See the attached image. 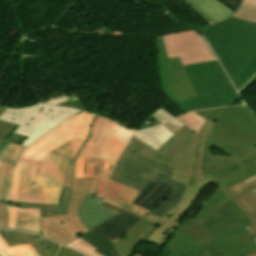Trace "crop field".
<instances>
[{"mask_svg":"<svg viewBox=\"0 0 256 256\" xmlns=\"http://www.w3.org/2000/svg\"><path fill=\"white\" fill-rule=\"evenodd\" d=\"M225 256L216 246H214L210 241L203 244L197 245L192 248L184 249L174 253H170V256Z\"/></svg>","mask_w":256,"mask_h":256,"instance_id":"crop-field-29","label":"crop field"},{"mask_svg":"<svg viewBox=\"0 0 256 256\" xmlns=\"http://www.w3.org/2000/svg\"><path fill=\"white\" fill-rule=\"evenodd\" d=\"M26 137L11 133L6 141L20 144Z\"/></svg>","mask_w":256,"mask_h":256,"instance_id":"crop-field-46","label":"crop field"},{"mask_svg":"<svg viewBox=\"0 0 256 256\" xmlns=\"http://www.w3.org/2000/svg\"><path fill=\"white\" fill-rule=\"evenodd\" d=\"M167 245L168 253L208 241L216 245L226 256H248L256 253L251 238L256 228L232 200L222 204L201 225L190 218L173 232Z\"/></svg>","mask_w":256,"mask_h":256,"instance_id":"crop-field-2","label":"crop field"},{"mask_svg":"<svg viewBox=\"0 0 256 256\" xmlns=\"http://www.w3.org/2000/svg\"><path fill=\"white\" fill-rule=\"evenodd\" d=\"M232 17L243 19L250 22H256V8L242 7Z\"/></svg>","mask_w":256,"mask_h":256,"instance_id":"crop-field-39","label":"crop field"},{"mask_svg":"<svg viewBox=\"0 0 256 256\" xmlns=\"http://www.w3.org/2000/svg\"><path fill=\"white\" fill-rule=\"evenodd\" d=\"M15 164L0 161V201L3 202Z\"/></svg>","mask_w":256,"mask_h":256,"instance_id":"crop-field-33","label":"crop field"},{"mask_svg":"<svg viewBox=\"0 0 256 256\" xmlns=\"http://www.w3.org/2000/svg\"><path fill=\"white\" fill-rule=\"evenodd\" d=\"M81 238L90 243L92 246L96 247L97 249L95 251L102 254L103 256H120L114 246V243L100 237L91 231Z\"/></svg>","mask_w":256,"mask_h":256,"instance_id":"crop-field-28","label":"crop field"},{"mask_svg":"<svg viewBox=\"0 0 256 256\" xmlns=\"http://www.w3.org/2000/svg\"><path fill=\"white\" fill-rule=\"evenodd\" d=\"M173 135L174 134H172L166 127L161 125L142 131H136L134 136L157 150L163 144H165Z\"/></svg>","mask_w":256,"mask_h":256,"instance_id":"crop-field-26","label":"crop field"},{"mask_svg":"<svg viewBox=\"0 0 256 256\" xmlns=\"http://www.w3.org/2000/svg\"><path fill=\"white\" fill-rule=\"evenodd\" d=\"M99 179H73L72 192L95 193Z\"/></svg>","mask_w":256,"mask_h":256,"instance_id":"crop-field-35","label":"crop field"},{"mask_svg":"<svg viewBox=\"0 0 256 256\" xmlns=\"http://www.w3.org/2000/svg\"><path fill=\"white\" fill-rule=\"evenodd\" d=\"M168 57L179 56L183 65L217 60L196 31H184L162 36Z\"/></svg>","mask_w":256,"mask_h":256,"instance_id":"crop-field-12","label":"crop field"},{"mask_svg":"<svg viewBox=\"0 0 256 256\" xmlns=\"http://www.w3.org/2000/svg\"><path fill=\"white\" fill-rule=\"evenodd\" d=\"M158 66L162 89L174 103L195 97V92L178 57L168 59L161 36L156 37Z\"/></svg>","mask_w":256,"mask_h":256,"instance_id":"crop-field-10","label":"crop field"},{"mask_svg":"<svg viewBox=\"0 0 256 256\" xmlns=\"http://www.w3.org/2000/svg\"><path fill=\"white\" fill-rule=\"evenodd\" d=\"M85 195L95 196V194L72 193L67 215L41 218V235L66 245L90 231L78 216V211Z\"/></svg>","mask_w":256,"mask_h":256,"instance_id":"crop-field-9","label":"crop field"},{"mask_svg":"<svg viewBox=\"0 0 256 256\" xmlns=\"http://www.w3.org/2000/svg\"><path fill=\"white\" fill-rule=\"evenodd\" d=\"M164 126H166L170 131H172L174 134L181 128L180 126H178L175 122H173L172 120L166 122L163 124ZM171 132V133H172ZM172 133V134H173Z\"/></svg>","mask_w":256,"mask_h":256,"instance_id":"crop-field-47","label":"crop field"},{"mask_svg":"<svg viewBox=\"0 0 256 256\" xmlns=\"http://www.w3.org/2000/svg\"><path fill=\"white\" fill-rule=\"evenodd\" d=\"M255 162H256V160H255Z\"/></svg>","mask_w":256,"mask_h":256,"instance_id":"crop-field-56","label":"crop field"},{"mask_svg":"<svg viewBox=\"0 0 256 256\" xmlns=\"http://www.w3.org/2000/svg\"><path fill=\"white\" fill-rule=\"evenodd\" d=\"M156 119H158L161 123H164L168 120H170V118L165 115L161 110H157L152 114Z\"/></svg>","mask_w":256,"mask_h":256,"instance_id":"crop-field-45","label":"crop field"},{"mask_svg":"<svg viewBox=\"0 0 256 256\" xmlns=\"http://www.w3.org/2000/svg\"><path fill=\"white\" fill-rule=\"evenodd\" d=\"M0 235L9 246L31 242L41 256H83L38 236L5 230H0Z\"/></svg>","mask_w":256,"mask_h":256,"instance_id":"crop-field-16","label":"crop field"},{"mask_svg":"<svg viewBox=\"0 0 256 256\" xmlns=\"http://www.w3.org/2000/svg\"><path fill=\"white\" fill-rule=\"evenodd\" d=\"M183 67L197 95L176 104L185 112L232 105L239 98L218 61Z\"/></svg>","mask_w":256,"mask_h":256,"instance_id":"crop-field-6","label":"crop field"},{"mask_svg":"<svg viewBox=\"0 0 256 256\" xmlns=\"http://www.w3.org/2000/svg\"><path fill=\"white\" fill-rule=\"evenodd\" d=\"M251 193L253 194V196L255 197V199H256V188L255 189H253V190H251Z\"/></svg>","mask_w":256,"mask_h":256,"instance_id":"crop-field-54","label":"crop field"},{"mask_svg":"<svg viewBox=\"0 0 256 256\" xmlns=\"http://www.w3.org/2000/svg\"><path fill=\"white\" fill-rule=\"evenodd\" d=\"M218 186L221 187V189L223 191H225L230 198L251 218L252 222L255 224L256 226V220L254 219V217L250 214V212L244 207V205L236 198V196L227 188L225 187L221 182H219L218 180L214 181Z\"/></svg>","mask_w":256,"mask_h":256,"instance_id":"crop-field-42","label":"crop field"},{"mask_svg":"<svg viewBox=\"0 0 256 256\" xmlns=\"http://www.w3.org/2000/svg\"><path fill=\"white\" fill-rule=\"evenodd\" d=\"M67 246H70L76 250L82 251L85 254L89 255V256H102L96 252H94L93 250L95 249L94 247H92L90 244H88L87 242H85L83 239L78 238L75 241H73L72 243L68 244ZM81 252V253H82Z\"/></svg>","mask_w":256,"mask_h":256,"instance_id":"crop-field-38","label":"crop field"},{"mask_svg":"<svg viewBox=\"0 0 256 256\" xmlns=\"http://www.w3.org/2000/svg\"><path fill=\"white\" fill-rule=\"evenodd\" d=\"M161 109L165 114H167L171 119L173 118V116L171 114H169L164 108H159Z\"/></svg>","mask_w":256,"mask_h":256,"instance_id":"crop-field-52","label":"crop field"},{"mask_svg":"<svg viewBox=\"0 0 256 256\" xmlns=\"http://www.w3.org/2000/svg\"><path fill=\"white\" fill-rule=\"evenodd\" d=\"M173 121H175L178 125H180L181 127L183 126V124L180 122V121H178L176 118H174V119H172Z\"/></svg>","mask_w":256,"mask_h":256,"instance_id":"crop-field-53","label":"crop field"},{"mask_svg":"<svg viewBox=\"0 0 256 256\" xmlns=\"http://www.w3.org/2000/svg\"><path fill=\"white\" fill-rule=\"evenodd\" d=\"M5 110V107L0 106V115ZM17 127V125L0 121V144L7 138V136Z\"/></svg>","mask_w":256,"mask_h":256,"instance_id":"crop-field-40","label":"crop field"},{"mask_svg":"<svg viewBox=\"0 0 256 256\" xmlns=\"http://www.w3.org/2000/svg\"><path fill=\"white\" fill-rule=\"evenodd\" d=\"M228 200H230L229 196L218 187L194 219L201 224L213 211Z\"/></svg>","mask_w":256,"mask_h":256,"instance_id":"crop-field-27","label":"crop field"},{"mask_svg":"<svg viewBox=\"0 0 256 256\" xmlns=\"http://www.w3.org/2000/svg\"><path fill=\"white\" fill-rule=\"evenodd\" d=\"M212 181L214 180L202 178L190 186L188 197L180 209L171 215L169 219L165 220L160 226H158L146 241L156 243L158 244L157 248H160L165 242L167 236L181 225L176 221L193 204L201 189Z\"/></svg>","mask_w":256,"mask_h":256,"instance_id":"crop-field-17","label":"crop field"},{"mask_svg":"<svg viewBox=\"0 0 256 256\" xmlns=\"http://www.w3.org/2000/svg\"><path fill=\"white\" fill-rule=\"evenodd\" d=\"M68 100L69 99L66 96H63V97H60V98H57V99H54V100H51V101H48L45 103L57 105V104H60L62 102L68 101Z\"/></svg>","mask_w":256,"mask_h":256,"instance_id":"crop-field-48","label":"crop field"},{"mask_svg":"<svg viewBox=\"0 0 256 256\" xmlns=\"http://www.w3.org/2000/svg\"><path fill=\"white\" fill-rule=\"evenodd\" d=\"M246 107L197 111L216 121L207 140L203 177L228 188L256 175V117Z\"/></svg>","mask_w":256,"mask_h":256,"instance_id":"crop-field-1","label":"crop field"},{"mask_svg":"<svg viewBox=\"0 0 256 256\" xmlns=\"http://www.w3.org/2000/svg\"><path fill=\"white\" fill-rule=\"evenodd\" d=\"M173 190L174 187L153 180L132 204L151 211L164 201Z\"/></svg>","mask_w":256,"mask_h":256,"instance_id":"crop-field-25","label":"crop field"},{"mask_svg":"<svg viewBox=\"0 0 256 256\" xmlns=\"http://www.w3.org/2000/svg\"><path fill=\"white\" fill-rule=\"evenodd\" d=\"M102 200L101 198L86 196L80 208V219L90 230L118 213L102 206Z\"/></svg>","mask_w":256,"mask_h":256,"instance_id":"crop-field-20","label":"crop field"},{"mask_svg":"<svg viewBox=\"0 0 256 256\" xmlns=\"http://www.w3.org/2000/svg\"><path fill=\"white\" fill-rule=\"evenodd\" d=\"M107 119L97 116L92 124L91 135L79 152L74 165L73 178H100L96 196L102 197L107 184V179L115 162L104 159L86 157L95 143Z\"/></svg>","mask_w":256,"mask_h":256,"instance_id":"crop-field-11","label":"crop field"},{"mask_svg":"<svg viewBox=\"0 0 256 256\" xmlns=\"http://www.w3.org/2000/svg\"><path fill=\"white\" fill-rule=\"evenodd\" d=\"M197 15L208 24L221 21L228 17L234 10L222 4L218 0H182ZM188 2V3H187Z\"/></svg>","mask_w":256,"mask_h":256,"instance_id":"crop-field-22","label":"crop field"},{"mask_svg":"<svg viewBox=\"0 0 256 256\" xmlns=\"http://www.w3.org/2000/svg\"><path fill=\"white\" fill-rule=\"evenodd\" d=\"M178 120H180L182 123L187 125L190 130L198 133L201 126L205 122V119L202 118L199 114L196 112H191L187 114H183L181 116L176 117Z\"/></svg>","mask_w":256,"mask_h":256,"instance_id":"crop-field-37","label":"crop field"},{"mask_svg":"<svg viewBox=\"0 0 256 256\" xmlns=\"http://www.w3.org/2000/svg\"><path fill=\"white\" fill-rule=\"evenodd\" d=\"M102 205L120 212L112 219L92 230L110 241L114 242L120 234L140 219V217L114 207L108 203L103 202Z\"/></svg>","mask_w":256,"mask_h":256,"instance_id":"crop-field-19","label":"crop field"},{"mask_svg":"<svg viewBox=\"0 0 256 256\" xmlns=\"http://www.w3.org/2000/svg\"><path fill=\"white\" fill-rule=\"evenodd\" d=\"M73 164L74 162L70 161V165L66 175L59 206L35 204V203L9 202V201H4V202L13 204L16 206H20L22 208H40L41 206L40 208L41 217H47L55 214H66L67 204L71 196V180H72V173H73ZM61 204H63V206H61Z\"/></svg>","mask_w":256,"mask_h":256,"instance_id":"crop-field-24","label":"crop field"},{"mask_svg":"<svg viewBox=\"0 0 256 256\" xmlns=\"http://www.w3.org/2000/svg\"><path fill=\"white\" fill-rule=\"evenodd\" d=\"M243 198L246 200V202L256 211V200L250 193V191L242 194Z\"/></svg>","mask_w":256,"mask_h":256,"instance_id":"crop-field-44","label":"crop field"},{"mask_svg":"<svg viewBox=\"0 0 256 256\" xmlns=\"http://www.w3.org/2000/svg\"><path fill=\"white\" fill-rule=\"evenodd\" d=\"M213 25L198 31L205 36L233 82L256 53V23L229 17Z\"/></svg>","mask_w":256,"mask_h":256,"instance_id":"crop-field-4","label":"crop field"},{"mask_svg":"<svg viewBox=\"0 0 256 256\" xmlns=\"http://www.w3.org/2000/svg\"><path fill=\"white\" fill-rule=\"evenodd\" d=\"M254 81H256V76L239 92V94L246 89L250 84H252Z\"/></svg>","mask_w":256,"mask_h":256,"instance_id":"crop-field-50","label":"crop field"},{"mask_svg":"<svg viewBox=\"0 0 256 256\" xmlns=\"http://www.w3.org/2000/svg\"><path fill=\"white\" fill-rule=\"evenodd\" d=\"M132 132L108 119L88 156L116 161Z\"/></svg>","mask_w":256,"mask_h":256,"instance_id":"crop-field-15","label":"crop field"},{"mask_svg":"<svg viewBox=\"0 0 256 256\" xmlns=\"http://www.w3.org/2000/svg\"><path fill=\"white\" fill-rule=\"evenodd\" d=\"M79 112L52 105H39L17 110L7 108L0 116V120L19 125L13 133L27 136L28 138L21 143L27 147L52 127Z\"/></svg>","mask_w":256,"mask_h":256,"instance_id":"crop-field-7","label":"crop field"},{"mask_svg":"<svg viewBox=\"0 0 256 256\" xmlns=\"http://www.w3.org/2000/svg\"><path fill=\"white\" fill-rule=\"evenodd\" d=\"M8 229L29 231L40 235L39 209H21L6 205ZM22 221V223H20Z\"/></svg>","mask_w":256,"mask_h":256,"instance_id":"crop-field-21","label":"crop field"},{"mask_svg":"<svg viewBox=\"0 0 256 256\" xmlns=\"http://www.w3.org/2000/svg\"><path fill=\"white\" fill-rule=\"evenodd\" d=\"M206 256H208V255H206Z\"/></svg>","mask_w":256,"mask_h":256,"instance_id":"crop-field-57","label":"crop field"},{"mask_svg":"<svg viewBox=\"0 0 256 256\" xmlns=\"http://www.w3.org/2000/svg\"><path fill=\"white\" fill-rule=\"evenodd\" d=\"M256 187V176L230 188V190L238 197V199L246 206V208L252 213V215L256 218V213L253 209L244 201L240 194Z\"/></svg>","mask_w":256,"mask_h":256,"instance_id":"crop-field-34","label":"crop field"},{"mask_svg":"<svg viewBox=\"0 0 256 256\" xmlns=\"http://www.w3.org/2000/svg\"><path fill=\"white\" fill-rule=\"evenodd\" d=\"M24 149L20 145L4 141L0 145V159L16 162Z\"/></svg>","mask_w":256,"mask_h":256,"instance_id":"crop-field-31","label":"crop field"},{"mask_svg":"<svg viewBox=\"0 0 256 256\" xmlns=\"http://www.w3.org/2000/svg\"><path fill=\"white\" fill-rule=\"evenodd\" d=\"M255 74H256V54L248 63V65L245 67V69L242 71V73L239 75V77L237 76L238 78L233 82L237 91H239L240 88Z\"/></svg>","mask_w":256,"mask_h":256,"instance_id":"crop-field-36","label":"crop field"},{"mask_svg":"<svg viewBox=\"0 0 256 256\" xmlns=\"http://www.w3.org/2000/svg\"><path fill=\"white\" fill-rule=\"evenodd\" d=\"M156 227L157 225L142 219L128 229L125 232L128 237L124 240L119 238L115 242L121 256H129L139 240L145 241Z\"/></svg>","mask_w":256,"mask_h":256,"instance_id":"crop-field-23","label":"crop field"},{"mask_svg":"<svg viewBox=\"0 0 256 256\" xmlns=\"http://www.w3.org/2000/svg\"><path fill=\"white\" fill-rule=\"evenodd\" d=\"M69 161L50 152L44 162L19 158L5 200L58 205Z\"/></svg>","mask_w":256,"mask_h":256,"instance_id":"crop-field-3","label":"crop field"},{"mask_svg":"<svg viewBox=\"0 0 256 256\" xmlns=\"http://www.w3.org/2000/svg\"><path fill=\"white\" fill-rule=\"evenodd\" d=\"M96 116L80 113L69 118L26 148L20 157L44 161L48 152L76 137L86 140L90 134L91 124Z\"/></svg>","mask_w":256,"mask_h":256,"instance_id":"crop-field-8","label":"crop field"},{"mask_svg":"<svg viewBox=\"0 0 256 256\" xmlns=\"http://www.w3.org/2000/svg\"><path fill=\"white\" fill-rule=\"evenodd\" d=\"M60 105L68 106V107H73V108H74V106L71 104V102H70V101L65 102V103H63V104H60Z\"/></svg>","mask_w":256,"mask_h":256,"instance_id":"crop-field-51","label":"crop field"},{"mask_svg":"<svg viewBox=\"0 0 256 256\" xmlns=\"http://www.w3.org/2000/svg\"><path fill=\"white\" fill-rule=\"evenodd\" d=\"M193 135L194 133L184 125L165 145H163L157 151L153 150L151 147L147 146L134 136L131 140L143 147L137 152V154L153 162L174 169L180 159L187 152L193 140Z\"/></svg>","mask_w":256,"mask_h":256,"instance_id":"crop-field-14","label":"crop field"},{"mask_svg":"<svg viewBox=\"0 0 256 256\" xmlns=\"http://www.w3.org/2000/svg\"><path fill=\"white\" fill-rule=\"evenodd\" d=\"M188 188H189V187H187L186 192H185V194H184V197L182 198V200L180 201V203H179L174 209H172L170 212H168L167 214H165L164 216H162V217H160V218H158V217H156V216H154V215H152V214L149 213V214L146 215L144 218H146V219H148V220H150V221H152V222H154V223L160 225L165 219L169 218V216H170L172 213H174L175 211L178 210V208L181 206V204L184 202V200H185V198H186V196H187Z\"/></svg>","mask_w":256,"mask_h":256,"instance_id":"crop-field-41","label":"crop field"},{"mask_svg":"<svg viewBox=\"0 0 256 256\" xmlns=\"http://www.w3.org/2000/svg\"><path fill=\"white\" fill-rule=\"evenodd\" d=\"M142 147L130 141L118 159L110 179L142 191L153 179L176 187L172 194L151 213L162 216L174 208L181 200L186 185L168 179L172 169L146 160L135 154Z\"/></svg>","mask_w":256,"mask_h":256,"instance_id":"crop-field-5","label":"crop field"},{"mask_svg":"<svg viewBox=\"0 0 256 256\" xmlns=\"http://www.w3.org/2000/svg\"><path fill=\"white\" fill-rule=\"evenodd\" d=\"M139 193L140 191L109 181L104 201L142 217L148 211L130 204Z\"/></svg>","mask_w":256,"mask_h":256,"instance_id":"crop-field-18","label":"crop field"},{"mask_svg":"<svg viewBox=\"0 0 256 256\" xmlns=\"http://www.w3.org/2000/svg\"><path fill=\"white\" fill-rule=\"evenodd\" d=\"M242 6L256 7V0H242Z\"/></svg>","mask_w":256,"mask_h":256,"instance_id":"crop-field-49","label":"crop field"},{"mask_svg":"<svg viewBox=\"0 0 256 256\" xmlns=\"http://www.w3.org/2000/svg\"><path fill=\"white\" fill-rule=\"evenodd\" d=\"M214 122L206 120L199 133L195 134L188 152L173 170L174 174L169 178L188 186L202 178L206 140Z\"/></svg>","mask_w":256,"mask_h":256,"instance_id":"crop-field-13","label":"crop field"},{"mask_svg":"<svg viewBox=\"0 0 256 256\" xmlns=\"http://www.w3.org/2000/svg\"><path fill=\"white\" fill-rule=\"evenodd\" d=\"M84 143L85 142L76 138L51 152L66 157L68 159L75 160L79 150L81 149Z\"/></svg>","mask_w":256,"mask_h":256,"instance_id":"crop-field-32","label":"crop field"},{"mask_svg":"<svg viewBox=\"0 0 256 256\" xmlns=\"http://www.w3.org/2000/svg\"><path fill=\"white\" fill-rule=\"evenodd\" d=\"M251 256H256V254H254V255H251Z\"/></svg>","mask_w":256,"mask_h":256,"instance_id":"crop-field-55","label":"crop field"},{"mask_svg":"<svg viewBox=\"0 0 256 256\" xmlns=\"http://www.w3.org/2000/svg\"><path fill=\"white\" fill-rule=\"evenodd\" d=\"M1 256H40L30 243L9 247L0 237Z\"/></svg>","mask_w":256,"mask_h":256,"instance_id":"crop-field-30","label":"crop field"},{"mask_svg":"<svg viewBox=\"0 0 256 256\" xmlns=\"http://www.w3.org/2000/svg\"><path fill=\"white\" fill-rule=\"evenodd\" d=\"M7 223V215L5 205L0 203V227L5 228Z\"/></svg>","mask_w":256,"mask_h":256,"instance_id":"crop-field-43","label":"crop field"},{"mask_svg":"<svg viewBox=\"0 0 256 256\" xmlns=\"http://www.w3.org/2000/svg\"><path fill=\"white\" fill-rule=\"evenodd\" d=\"M256 149V148H255Z\"/></svg>","mask_w":256,"mask_h":256,"instance_id":"crop-field-58","label":"crop field"}]
</instances>
